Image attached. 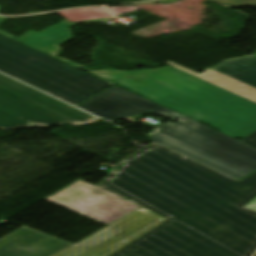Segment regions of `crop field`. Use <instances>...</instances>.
<instances>
[{"label":"crop field","instance_id":"3","mask_svg":"<svg viewBox=\"0 0 256 256\" xmlns=\"http://www.w3.org/2000/svg\"><path fill=\"white\" fill-rule=\"evenodd\" d=\"M153 112L179 122L155 128L150 140L237 180L256 171L255 148L167 108Z\"/></svg>","mask_w":256,"mask_h":256},{"label":"crop field","instance_id":"9","mask_svg":"<svg viewBox=\"0 0 256 256\" xmlns=\"http://www.w3.org/2000/svg\"><path fill=\"white\" fill-rule=\"evenodd\" d=\"M22 101L45 111L73 126L87 125L101 121L100 119L68 106L42 92Z\"/></svg>","mask_w":256,"mask_h":256},{"label":"crop field","instance_id":"11","mask_svg":"<svg viewBox=\"0 0 256 256\" xmlns=\"http://www.w3.org/2000/svg\"><path fill=\"white\" fill-rule=\"evenodd\" d=\"M213 68L256 87V58L254 57L227 61Z\"/></svg>","mask_w":256,"mask_h":256},{"label":"crop field","instance_id":"1","mask_svg":"<svg viewBox=\"0 0 256 256\" xmlns=\"http://www.w3.org/2000/svg\"><path fill=\"white\" fill-rule=\"evenodd\" d=\"M256 147V132L242 140ZM97 187L79 179L45 199L107 225L143 207L168 218L111 256H252L256 172L237 181L152 143Z\"/></svg>","mask_w":256,"mask_h":256},{"label":"crop field","instance_id":"13","mask_svg":"<svg viewBox=\"0 0 256 256\" xmlns=\"http://www.w3.org/2000/svg\"><path fill=\"white\" fill-rule=\"evenodd\" d=\"M218 3L234 8L236 6H256V0H214Z\"/></svg>","mask_w":256,"mask_h":256},{"label":"crop field","instance_id":"16","mask_svg":"<svg viewBox=\"0 0 256 256\" xmlns=\"http://www.w3.org/2000/svg\"><path fill=\"white\" fill-rule=\"evenodd\" d=\"M2 6H0V10H1Z\"/></svg>","mask_w":256,"mask_h":256},{"label":"crop field","instance_id":"5","mask_svg":"<svg viewBox=\"0 0 256 256\" xmlns=\"http://www.w3.org/2000/svg\"><path fill=\"white\" fill-rule=\"evenodd\" d=\"M164 219L141 208L54 256H110Z\"/></svg>","mask_w":256,"mask_h":256},{"label":"crop field","instance_id":"14","mask_svg":"<svg viewBox=\"0 0 256 256\" xmlns=\"http://www.w3.org/2000/svg\"><path fill=\"white\" fill-rule=\"evenodd\" d=\"M245 207L256 210V198H254L251 202H249Z\"/></svg>","mask_w":256,"mask_h":256},{"label":"crop field","instance_id":"15","mask_svg":"<svg viewBox=\"0 0 256 256\" xmlns=\"http://www.w3.org/2000/svg\"><path fill=\"white\" fill-rule=\"evenodd\" d=\"M177 1H180V0H160V1H156V2H159L161 4H168V3H173V2H177ZM156 2H150V3L156 4Z\"/></svg>","mask_w":256,"mask_h":256},{"label":"crop field","instance_id":"12","mask_svg":"<svg viewBox=\"0 0 256 256\" xmlns=\"http://www.w3.org/2000/svg\"><path fill=\"white\" fill-rule=\"evenodd\" d=\"M0 90L18 98L19 100L38 93L35 89L0 74Z\"/></svg>","mask_w":256,"mask_h":256},{"label":"crop field","instance_id":"2","mask_svg":"<svg viewBox=\"0 0 256 256\" xmlns=\"http://www.w3.org/2000/svg\"><path fill=\"white\" fill-rule=\"evenodd\" d=\"M0 17V25L5 21ZM64 20L40 33L30 31L18 39L50 56L79 67L99 78L117 84L196 121H204L233 138H243L256 130V103L206 83L171 66L138 71H91L64 60L59 46L72 39ZM251 134V133H250Z\"/></svg>","mask_w":256,"mask_h":256},{"label":"crop field","instance_id":"8","mask_svg":"<svg viewBox=\"0 0 256 256\" xmlns=\"http://www.w3.org/2000/svg\"><path fill=\"white\" fill-rule=\"evenodd\" d=\"M63 124L65 122L0 93V129L14 130Z\"/></svg>","mask_w":256,"mask_h":256},{"label":"crop field","instance_id":"17","mask_svg":"<svg viewBox=\"0 0 256 256\" xmlns=\"http://www.w3.org/2000/svg\"><path fill=\"white\" fill-rule=\"evenodd\" d=\"M254 57H256V55Z\"/></svg>","mask_w":256,"mask_h":256},{"label":"crop field","instance_id":"4","mask_svg":"<svg viewBox=\"0 0 256 256\" xmlns=\"http://www.w3.org/2000/svg\"><path fill=\"white\" fill-rule=\"evenodd\" d=\"M0 71L76 106L114 85L1 34Z\"/></svg>","mask_w":256,"mask_h":256},{"label":"crop field","instance_id":"6","mask_svg":"<svg viewBox=\"0 0 256 256\" xmlns=\"http://www.w3.org/2000/svg\"><path fill=\"white\" fill-rule=\"evenodd\" d=\"M78 107L108 121L165 108L117 85Z\"/></svg>","mask_w":256,"mask_h":256},{"label":"crop field","instance_id":"10","mask_svg":"<svg viewBox=\"0 0 256 256\" xmlns=\"http://www.w3.org/2000/svg\"><path fill=\"white\" fill-rule=\"evenodd\" d=\"M166 63L169 65H172L186 73H189L195 77H198L204 81H207L211 84H214L218 87H221L223 89H226L230 92H233L235 94H238L242 97H245L247 99H250V100L256 102V88H253L247 84H244V83H242L236 79H233L225 74H222L212 68L207 69L203 73L199 74L195 71H192L188 68L180 66L171 61H168Z\"/></svg>","mask_w":256,"mask_h":256},{"label":"crop field","instance_id":"7","mask_svg":"<svg viewBox=\"0 0 256 256\" xmlns=\"http://www.w3.org/2000/svg\"><path fill=\"white\" fill-rule=\"evenodd\" d=\"M68 246L22 227L0 240V256H52Z\"/></svg>","mask_w":256,"mask_h":256}]
</instances>
